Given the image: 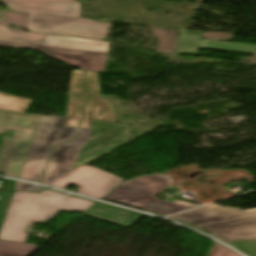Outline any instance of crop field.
Instances as JSON below:
<instances>
[{
	"label": "crop field",
	"instance_id": "4a817a6b",
	"mask_svg": "<svg viewBox=\"0 0 256 256\" xmlns=\"http://www.w3.org/2000/svg\"><path fill=\"white\" fill-rule=\"evenodd\" d=\"M26 99L0 94V110L20 112Z\"/></svg>",
	"mask_w": 256,
	"mask_h": 256
},
{
	"label": "crop field",
	"instance_id": "92a150f3",
	"mask_svg": "<svg viewBox=\"0 0 256 256\" xmlns=\"http://www.w3.org/2000/svg\"><path fill=\"white\" fill-rule=\"evenodd\" d=\"M248 256H256V241L228 243Z\"/></svg>",
	"mask_w": 256,
	"mask_h": 256
},
{
	"label": "crop field",
	"instance_id": "214f88e0",
	"mask_svg": "<svg viewBox=\"0 0 256 256\" xmlns=\"http://www.w3.org/2000/svg\"><path fill=\"white\" fill-rule=\"evenodd\" d=\"M95 202L69 197L66 205L62 209V211H78V212H85L89 209Z\"/></svg>",
	"mask_w": 256,
	"mask_h": 256
},
{
	"label": "crop field",
	"instance_id": "5142ce71",
	"mask_svg": "<svg viewBox=\"0 0 256 256\" xmlns=\"http://www.w3.org/2000/svg\"><path fill=\"white\" fill-rule=\"evenodd\" d=\"M38 249L34 244L0 240V256H28Z\"/></svg>",
	"mask_w": 256,
	"mask_h": 256
},
{
	"label": "crop field",
	"instance_id": "f4fd0767",
	"mask_svg": "<svg viewBox=\"0 0 256 256\" xmlns=\"http://www.w3.org/2000/svg\"><path fill=\"white\" fill-rule=\"evenodd\" d=\"M66 118L42 115L20 178L39 182L52 146L78 135V128L65 127Z\"/></svg>",
	"mask_w": 256,
	"mask_h": 256
},
{
	"label": "crop field",
	"instance_id": "a9b5d70f",
	"mask_svg": "<svg viewBox=\"0 0 256 256\" xmlns=\"http://www.w3.org/2000/svg\"><path fill=\"white\" fill-rule=\"evenodd\" d=\"M12 195L2 194L0 198V225L3 220L6 208Z\"/></svg>",
	"mask_w": 256,
	"mask_h": 256
},
{
	"label": "crop field",
	"instance_id": "22f410ed",
	"mask_svg": "<svg viewBox=\"0 0 256 256\" xmlns=\"http://www.w3.org/2000/svg\"><path fill=\"white\" fill-rule=\"evenodd\" d=\"M202 32L180 30L176 53L197 55Z\"/></svg>",
	"mask_w": 256,
	"mask_h": 256
},
{
	"label": "crop field",
	"instance_id": "dd49c442",
	"mask_svg": "<svg viewBox=\"0 0 256 256\" xmlns=\"http://www.w3.org/2000/svg\"><path fill=\"white\" fill-rule=\"evenodd\" d=\"M41 115L0 111V133L16 130L6 138L0 155V172L18 177Z\"/></svg>",
	"mask_w": 256,
	"mask_h": 256
},
{
	"label": "crop field",
	"instance_id": "733c2abd",
	"mask_svg": "<svg viewBox=\"0 0 256 256\" xmlns=\"http://www.w3.org/2000/svg\"><path fill=\"white\" fill-rule=\"evenodd\" d=\"M69 94H87L84 71L72 69Z\"/></svg>",
	"mask_w": 256,
	"mask_h": 256
},
{
	"label": "crop field",
	"instance_id": "412701ff",
	"mask_svg": "<svg viewBox=\"0 0 256 256\" xmlns=\"http://www.w3.org/2000/svg\"><path fill=\"white\" fill-rule=\"evenodd\" d=\"M172 184L170 176L154 173L124 181L104 199L145 209L164 216L184 211L198 204L175 200L166 202L153 198L157 193L167 189Z\"/></svg>",
	"mask_w": 256,
	"mask_h": 256
},
{
	"label": "crop field",
	"instance_id": "34b2d1b8",
	"mask_svg": "<svg viewBox=\"0 0 256 256\" xmlns=\"http://www.w3.org/2000/svg\"><path fill=\"white\" fill-rule=\"evenodd\" d=\"M66 196L48 190L41 193L15 192L0 230V239L26 242L28 234L24 229L32 222L56 213Z\"/></svg>",
	"mask_w": 256,
	"mask_h": 256
},
{
	"label": "crop field",
	"instance_id": "3316defc",
	"mask_svg": "<svg viewBox=\"0 0 256 256\" xmlns=\"http://www.w3.org/2000/svg\"><path fill=\"white\" fill-rule=\"evenodd\" d=\"M10 10L80 18V3L75 0H0Z\"/></svg>",
	"mask_w": 256,
	"mask_h": 256
},
{
	"label": "crop field",
	"instance_id": "5a996713",
	"mask_svg": "<svg viewBox=\"0 0 256 256\" xmlns=\"http://www.w3.org/2000/svg\"><path fill=\"white\" fill-rule=\"evenodd\" d=\"M90 132L91 130L89 129H80L78 138L53 148L42 183L49 185L72 169L78 152L86 144Z\"/></svg>",
	"mask_w": 256,
	"mask_h": 256
},
{
	"label": "crop field",
	"instance_id": "00972430",
	"mask_svg": "<svg viewBox=\"0 0 256 256\" xmlns=\"http://www.w3.org/2000/svg\"><path fill=\"white\" fill-rule=\"evenodd\" d=\"M42 189L43 188L38 187L36 185L18 181L14 190L39 192Z\"/></svg>",
	"mask_w": 256,
	"mask_h": 256
},
{
	"label": "crop field",
	"instance_id": "e52e79f7",
	"mask_svg": "<svg viewBox=\"0 0 256 256\" xmlns=\"http://www.w3.org/2000/svg\"><path fill=\"white\" fill-rule=\"evenodd\" d=\"M112 24L93 20L29 13L28 30L87 38L105 39Z\"/></svg>",
	"mask_w": 256,
	"mask_h": 256
},
{
	"label": "crop field",
	"instance_id": "bc2a9ffb",
	"mask_svg": "<svg viewBox=\"0 0 256 256\" xmlns=\"http://www.w3.org/2000/svg\"><path fill=\"white\" fill-rule=\"evenodd\" d=\"M0 36L42 41L45 35L37 33L11 31L7 30L6 26L0 25Z\"/></svg>",
	"mask_w": 256,
	"mask_h": 256
},
{
	"label": "crop field",
	"instance_id": "730fd06b",
	"mask_svg": "<svg viewBox=\"0 0 256 256\" xmlns=\"http://www.w3.org/2000/svg\"><path fill=\"white\" fill-rule=\"evenodd\" d=\"M2 181L7 183L5 190H9V191H13L15 184L17 182L14 180H6V179H2Z\"/></svg>",
	"mask_w": 256,
	"mask_h": 256
},
{
	"label": "crop field",
	"instance_id": "cbeb9de0",
	"mask_svg": "<svg viewBox=\"0 0 256 256\" xmlns=\"http://www.w3.org/2000/svg\"><path fill=\"white\" fill-rule=\"evenodd\" d=\"M200 48L246 53V54H252V53H255L256 51L255 45L222 42V41H214V40H206V39H202Z\"/></svg>",
	"mask_w": 256,
	"mask_h": 256
},
{
	"label": "crop field",
	"instance_id": "dafd665d",
	"mask_svg": "<svg viewBox=\"0 0 256 256\" xmlns=\"http://www.w3.org/2000/svg\"><path fill=\"white\" fill-rule=\"evenodd\" d=\"M89 95L100 94L98 76L95 72L86 71Z\"/></svg>",
	"mask_w": 256,
	"mask_h": 256
},
{
	"label": "crop field",
	"instance_id": "ae1a2a85",
	"mask_svg": "<svg viewBox=\"0 0 256 256\" xmlns=\"http://www.w3.org/2000/svg\"><path fill=\"white\" fill-rule=\"evenodd\" d=\"M30 100H27L26 104L24 105V107L22 108L21 112H25L28 104H29Z\"/></svg>",
	"mask_w": 256,
	"mask_h": 256
},
{
	"label": "crop field",
	"instance_id": "d9b57169",
	"mask_svg": "<svg viewBox=\"0 0 256 256\" xmlns=\"http://www.w3.org/2000/svg\"><path fill=\"white\" fill-rule=\"evenodd\" d=\"M86 96L69 95L66 126L78 127Z\"/></svg>",
	"mask_w": 256,
	"mask_h": 256
},
{
	"label": "crop field",
	"instance_id": "d8731c3e",
	"mask_svg": "<svg viewBox=\"0 0 256 256\" xmlns=\"http://www.w3.org/2000/svg\"><path fill=\"white\" fill-rule=\"evenodd\" d=\"M121 181L123 180L114 175L82 165L69 171L50 186L65 189L74 184L81 186L78 189L80 194L101 198Z\"/></svg>",
	"mask_w": 256,
	"mask_h": 256
},
{
	"label": "crop field",
	"instance_id": "8a807250",
	"mask_svg": "<svg viewBox=\"0 0 256 256\" xmlns=\"http://www.w3.org/2000/svg\"><path fill=\"white\" fill-rule=\"evenodd\" d=\"M0 46L38 50L81 70L103 72L109 42L46 35L43 42L0 37Z\"/></svg>",
	"mask_w": 256,
	"mask_h": 256
},
{
	"label": "crop field",
	"instance_id": "eef30255",
	"mask_svg": "<svg viewBox=\"0 0 256 256\" xmlns=\"http://www.w3.org/2000/svg\"><path fill=\"white\" fill-rule=\"evenodd\" d=\"M220 248H221L220 244L215 242V244H214V246H213L209 256H217Z\"/></svg>",
	"mask_w": 256,
	"mask_h": 256
},
{
	"label": "crop field",
	"instance_id": "4177f3b9",
	"mask_svg": "<svg viewBox=\"0 0 256 256\" xmlns=\"http://www.w3.org/2000/svg\"><path fill=\"white\" fill-rule=\"evenodd\" d=\"M218 256H240V255H238L237 253H235L227 248L222 247Z\"/></svg>",
	"mask_w": 256,
	"mask_h": 256
},
{
	"label": "crop field",
	"instance_id": "28ad6ade",
	"mask_svg": "<svg viewBox=\"0 0 256 256\" xmlns=\"http://www.w3.org/2000/svg\"><path fill=\"white\" fill-rule=\"evenodd\" d=\"M93 120L116 123L112 103L101 96H88L80 128L91 129Z\"/></svg>",
	"mask_w": 256,
	"mask_h": 256
},
{
	"label": "crop field",
	"instance_id": "d1516ede",
	"mask_svg": "<svg viewBox=\"0 0 256 256\" xmlns=\"http://www.w3.org/2000/svg\"><path fill=\"white\" fill-rule=\"evenodd\" d=\"M83 215L128 227L143 214L127 211L103 203H96Z\"/></svg>",
	"mask_w": 256,
	"mask_h": 256
},
{
	"label": "crop field",
	"instance_id": "d3111659",
	"mask_svg": "<svg viewBox=\"0 0 256 256\" xmlns=\"http://www.w3.org/2000/svg\"><path fill=\"white\" fill-rule=\"evenodd\" d=\"M2 138H3V136H0V146H1Z\"/></svg>",
	"mask_w": 256,
	"mask_h": 256
},
{
	"label": "crop field",
	"instance_id": "ac0d7876",
	"mask_svg": "<svg viewBox=\"0 0 256 256\" xmlns=\"http://www.w3.org/2000/svg\"><path fill=\"white\" fill-rule=\"evenodd\" d=\"M170 218L203 229L226 242L256 240V209L211 204Z\"/></svg>",
	"mask_w": 256,
	"mask_h": 256
}]
</instances>
